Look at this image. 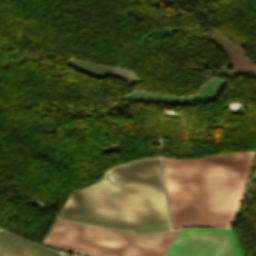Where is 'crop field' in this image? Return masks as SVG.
Masks as SVG:
<instances>
[{"instance_id":"crop-field-1","label":"crop field","mask_w":256,"mask_h":256,"mask_svg":"<svg viewBox=\"0 0 256 256\" xmlns=\"http://www.w3.org/2000/svg\"><path fill=\"white\" fill-rule=\"evenodd\" d=\"M255 151L179 160L161 158L172 227H229Z\"/></svg>"},{"instance_id":"crop-field-2","label":"crop field","mask_w":256,"mask_h":256,"mask_svg":"<svg viewBox=\"0 0 256 256\" xmlns=\"http://www.w3.org/2000/svg\"><path fill=\"white\" fill-rule=\"evenodd\" d=\"M75 191L166 210L159 158L117 166L111 170L116 183L106 175ZM72 192L58 217L136 232L169 229L164 210Z\"/></svg>"},{"instance_id":"crop-field-3","label":"crop field","mask_w":256,"mask_h":256,"mask_svg":"<svg viewBox=\"0 0 256 256\" xmlns=\"http://www.w3.org/2000/svg\"><path fill=\"white\" fill-rule=\"evenodd\" d=\"M180 231L135 234L56 218L42 244L86 256H162Z\"/></svg>"},{"instance_id":"crop-field-4","label":"crop field","mask_w":256,"mask_h":256,"mask_svg":"<svg viewBox=\"0 0 256 256\" xmlns=\"http://www.w3.org/2000/svg\"><path fill=\"white\" fill-rule=\"evenodd\" d=\"M164 256H241L228 229H182Z\"/></svg>"},{"instance_id":"crop-field-5","label":"crop field","mask_w":256,"mask_h":256,"mask_svg":"<svg viewBox=\"0 0 256 256\" xmlns=\"http://www.w3.org/2000/svg\"><path fill=\"white\" fill-rule=\"evenodd\" d=\"M37 244L22 240L9 233L0 235V256H30Z\"/></svg>"},{"instance_id":"crop-field-6","label":"crop field","mask_w":256,"mask_h":256,"mask_svg":"<svg viewBox=\"0 0 256 256\" xmlns=\"http://www.w3.org/2000/svg\"><path fill=\"white\" fill-rule=\"evenodd\" d=\"M60 254L57 252H54L48 248L42 247L38 245L36 250L33 252L31 256H59Z\"/></svg>"},{"instance_id":"crop-field-7","label":"crop field","mask_w":256,"mask_h":256,"mask_svg":"<svg viewBox=\"0 0 256 256\" xmlns=\"http://www.w3.org/2000/svg\"><path fill=\"white\" fill-rule=\"evenodd\" d=\"M253 179H255V180H256V173H255V175H254Z\"/></svg>"},{"instance_id":"crop-field-8","label":"crop field","mask_w":256,"mask_h":256,"mask_svg":"<svg viewBox=\"0 0 256 256\" xmlns=\"http://www.w3.org/2000/svg\"><path fill=\"white\" fill-rule=\"evenodd\" d=\"M61 256V255H60Z\"/></svg>"}]
</instances>
